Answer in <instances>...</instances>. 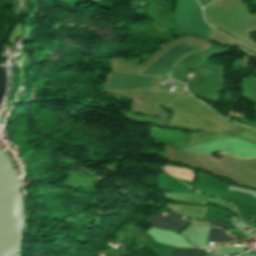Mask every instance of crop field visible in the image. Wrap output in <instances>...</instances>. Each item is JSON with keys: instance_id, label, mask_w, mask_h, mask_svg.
Here are the masks:
<instances>
[{"instance_id": "crop-field-7", "label": "crop field", "mask_w": 256, "mask_h": 256, "mask_svg": "<svg viewBox=\"0 0 256 256\" xmlns=\"http://www.w3.org/2000/svg\"><path fill=\"white\" fill-rule=\"evenodd\" d=\"M205 249V248H203ZM205 250L202 249H180L176 248L172 256H204Z\"/></svg>"}, {"instance_id": "crop-field-6", "label": "crop field", "mask_w": 256, "mask_h": 256, "mask_svg": "<svg viewBox=\"0 0 256 256\" xmlns=\"http://www.w3.org/2000/svg\"><path fill=\"white\" fill-rule=\"evenodd\" d=\"M207 241H226L229 242L228 240V234L218 228H211L208 236Z\"/></svg>"}, {"instance_id": "crop-field-4", "label": "crop field", "mask_w": 256, "mask_h": 256, "mask_svg": "<svg viewBox=\"0 0 256 256\" xmlns=\"http://www.w3.org/2000/svg\"><path fill=\"white\" fill-rule=\"evenodd\" d=\"M152 87V77L113 75L112 88Z\"/></svg>"}, {"instance_id": "crop-field-5", "label": "crop field", "mask_w": 256, "mask_h": 256, "mask_svg": "<svg viewBox=\"0 0 256 256\" xmlns=\"http://www.w3.org/2000/svg\"><path fill=\"white\" fill-rule=\"evenodd\" d=\"M190 31L208 38L210 28L205 24L204 20L190 19Z\"/></svg>"}, {"instance_id": "crop-field-2", "label": "crop field", "mask_w": 256, "mask_h": 256, "mask_svg": "<svg viewBox=\"0 0 256 256\" xmlns=\"http://www.w3.org/2000/svg\"><path fill=\"white\" fill-rule=\"evenodd\" d=\"M193 50H197V49H194L185 45L175 46L170 51H168L164 56H162L156 63H154L143 74L161 73L167 66L173 63L175 60H177L181 56Z\"/></svg>"}, {"instance_id": "crop-field-1", "label": "crop field", "mask_w": 256, "mask_h": 256, "mask_svg": "<svg viewBox=\"0 0 256 256\" xmlns=\"http://www.w3.org/2000/svg\"><path fill=\"white\" fill-rule=\"evenodd\" d=\"M189 18L203 19L199 5L195 0H177L175 30L189 31Z\"/></svg>"}, {"instance_id": "crop-field-3", "label": "crop field", "mask_w": 256, "mask_h": 256, "mask_svg": "<svg viewBox=\"0 0 256 256\" xmlns=\"http://www.w3.org/2000/svg\"><path fill=\"white\" fill-rule=\"evenodd\" d=\"M153 227L160 229L172 230L175 233H178L183 228L187 226L188 223L177 218V215L173 212L169 214L157 213L149 220L146 221Z\"/></svg>"}, {"instance_id": "crop-field-9", "label": "crop field", "mask_w": 256, "mask_h": 256, "mask_svg": "<svg viewBox=\"0 0 256 256\" xmlns=\"http://www.w3.org/2000/svg\"><path fill=\"white\" fill-rule=\"evenodd\" d=\"M205 0H200L201 4L204 2Z\"/></svg>"}, {"instance_id": "crop-field-8", "label": "crop field", "mask_w": 256, "mask_h": 256, "mask_svg": "<svg viewBox=\"0 0 256 256\" xmlns=\"http://www.w3.org/2000/svg\"><path fill=\"white\" fill-rule=\"evenodd\" d=\"M215 226L220 227L222 229H228V224L220 221L214 220Z\"/></svg>"}]
</instances>
